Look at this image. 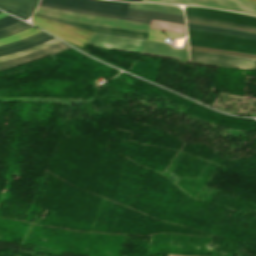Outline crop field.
Returning <instances> with one entry per match:
<instances>
[{
	"mask_svg": "<svg viewBox=\"0 0 256 256\" xmlns=\"http://www.w3.org/2000/svg\"><path fill=\"white\" fill-rule=\"evenodd\" d=\"M88 44L127 52L189 60L188 49L173 47V45L162 42L134 40L93 32Z\"/></svg>",
	"mask_w": 256,
	"mask_h": 256,
	"instance_id": "8a807250",
	"label": "crop field"
},
{
	"mask_svg": "<svg viewBox=\"0 0 256 256\" xmlns=\"http://www.w3.org/2000/svg\"><path fill=\"white\" fill-rule=\"evenodd\" d=\"M189 45L256 54V41L188 29Z\"/></svg>",
	"mask_w": 256,
	"mask_h": 256,
	"instance_id": "ac0d7876",
	"label": "crop field"
},
{
	"mask_svg": "<svg viewBox=\"0 0 256 256\" xmlns=\"http://www.w3.org/2000/svg\"><path fill=\"white\" fill-rule=\"evenodd\" d=\"M36 13H40V14H44V15H48V16H52V17H56V18L76 21V22L98 24V25H104V26H110V27H116V28H122V29L137 30V31H145V32H148L149 26H150L147 24H141V23H135V22H129V21H123V20H117V19H110V18L62 11V10L46 8V7H41V6L38 7Z\"/></svg>",
	"mask_w": 256,
	"mask_h": 256,
	"instance_id": "34b2d1b8",
	"label": "crop field"
},
{
	"mask_svg": "<svg viewBox=\"0 0 256 256\" xmlns=\"http://www.w3.org/2000/svg\"><path fill=\"white\" fill-rule=\"evenodd\" d=\"M42 3L125 16L129 3L112 0H41Z\"/></svg>",
	"mask_w": 256,
	"mask_h": 256,
	"instance_id": "412701ff",
	"label": "crop field"
},
{
	"mask_svg": "<svg viewBox=\"0 0 256 256\" xmlns=\"http://www.w3.org/2000/svg\"><path fill=\"white\" fill-rule=\"evenodd\" d=\"M191 62L256 69V59L190 49Z\"/></svg>",
	"mask_w": 256,
	"mask_h": 256,
	"instance_id": "f4fd0767",
	"label": "crop field"
},
{
	"mask_svg": "<svg viewBox=\"0 0 256 256\" xmlns=\"http://www.w3.org/2000/svg\"><path fill=\"white\" fill-rule=\"evenodd\" d=\"M31 21L33 24L49 31L50 33L56 35L57 37L68 40L81 47H84L85 44L81 43L80 41L87 43L88 41L87 39H89L90 35L92 34L91 31L66 26V25L59 24L35 15L32 16ZM73 33L80 35L82 37H85L87 39L77 36Z\"/></svg>",
	"mask_w": 256,
	"mask_h": 256,
	"instance_id": "dd49c442",
	"label": "crop field"
},
{
	"mask_svg": "<svg viewBox=\"0 0 256 256\" xmlns=\"http://www.w3.org/2000/svg\"><path fill=\"white\" fill-rule=\"evenodd\" d=\"M39 5L58 8V9H64V10H70V11H76V12H82V13H88V14H94V15H100V16H106V17H112V18H118V19H124V20H130V21H136V22H142V23H148V24H150L151 19L185 24V20L183 16L156 13V12H150V11H144V10L128 9L126 17H122V16L70 9V8L53 6V5L42 4V3H40Z\"/></svg>",
	"mask_w": 256,
	"mask_h": 256,
	"instance_id": "e52e79f7",
	"label": "crop field"
},
{
	"mask_svg": "<svg viewBox=\"0 0 256 256\" xmlns=\"http://www.w3.org/2000/svg\"><path fill=\"white\" fill-rule=\"evenodd\" d=\"M185 12L188 15L216 19L221 21L233 22L256 27V16L239 14L213 8L187 6Z\"/></svg>",
	"mask_w": 256,
	"mask_h": 256,
	"instance_id": "d8731c3e",
	"label": "crop field"
},
{
	"mask_svg": "<svg viewBox=\"0 0 256 256\" xmlns=\"http://www.w3.org/2000/svg\"><path fill=\"white\" fill-rule=\"evenodd\" d=\"M143 1H158L172 4H192V5H205L230 10L241 11L249 14L256 15V5L238 1V0H143Z\"/></svg>",
	"mask_w": 256,
	"mask_h": 256,
	"instance_id": "5a996713",
	"label": "crop field"
},
{
	"mask_svg": "<svg viewBox=\"0 0 256 256\" xmlns=\"http://www.w3.org/2000/svg\"><path fill=\"white\" fill-rule=\"evenodd\" d=\"M38 16L63 23L66 25L74 26V27H79L91 31H96V32H102V33H107V34H113V35H118V36H124V37H130V38H136V39H143L146 40L148 33L145 32H137V31H130V30H122V29H116V28H110V27H104V26H98V25H90V24H82V23H76V22H71V21H66V20H61V19H56L40 14H36Z\"/></svg>",
	"mask_w": 256,
	"mask_h": 256,
	"instance_id": "3316defc",
	"label": "crop field"
},
{
	"mask_svg": "<svg viewBox=\"0 0 256 256\" xmlns=\"http://www.w3.org/2000/svg\"><path fill=\"white\" fill-rule=\"evenodd\" d=\"M69 47L68 45H66L63 42H58L52 46H49L43 50L40 51H36L30 54H26L20 57H16L13 59H9V60H5V61H1L0 62V69H5V68H10V67H15V66H19L49 55H52L58 51H61L65 48Z\"/></svg>",
	"mask_w": 256,
	"mask_h": 256,
	"instance_id": "28ad6ade",
	"label": "crop field"
},
{
	"mask_svg": "<svg viewBox=\"0 0 256 256\" xmlns=\"http://www.w3.org/2000/svg\"><path fill=\"white\" fill-rule=\"evenodd\" d=\"M37 3V0H0V8L24 18L32 14Z\"/></svg>",
	"mask_w": 256,
	"mask_h": 256,
	"instance_id": "d1516ede",
	"label": "crop field"
},
{
	"mask_svg": "<svg viewBox=\"0 0 256 256\" xmlns=\"http://www.w3.org/2000/svg\"><path fill=\"white\" fill-rule=\"evenodd\" d=\"M187 26H188V28H191V29L234 35V36L245 37V38H250V39L256 40V34H251V33H246V32L226 29V28H220V27H214V26H210V25H202V24L187 23Z\"/></svg>",
	"mask_w": 256,
	"mask_h": 256,
	"instance_id": "22f410ed",
	"label": "crop field"
},
{
	"mask_svg": "<svg viewBox=\"0 0 256 256\" xmlns=\"http://www.w3.org/2000/svg\"><path fill=\"white\" fill-rule=\"evenodd\" d=\"M128 8L154 10L183 15V10L181 7L159 3H130Z\"/></svg>",
	"mask_w": 256,
	"mask_h": 256,
	"instance_id": "cbeb9de0",
	"label": "crop field"
},
{
	"mask_svg": "<svg viewBox=\"0 0 256 256\" xmlns=\"http://www.w3.org/2000/svg\"><path fill=\"white\" fill-rule=\"evenodd\" d=\"M150 28L186 33L185 25L155 21V20L151 21Z\"/></svg>",
	"mask_w": 256,
	"mask_h": 256,
	"instance_id": "5142ce71",
	"label": "crop field"
},
{
	"mask_svg": "<svg viewBox=\"0 0 256 256\" xmlns=\"http://www.w3.org/2000/svg\"><path fill=\"white\" fill-rule=\"evenodd\" d=\"M184 36L185 35H183V34H177V33H171V32L150 29L148 39L166 42L167 39L184 37Z\"/></svg>",
	"mask_w": 256,
	"mask_h": 256,
	"instance_id": "d9b57169",
	"label": "crop field"
},
{
	"mask_svg": "<svg viewBox=\"0 0 256 256\" xmlns=\"http://www.w3.org/2000/svg\"><path fill=\"white\" fill-rule=\"evenodd\" d=\"M31 27L30 25H27L26 23L20 21L14 25H11L7 28L1 29L0 30V38L8 36V35H12L18 32H21L27 28Z\"/></svg>",
	"mask_w": 256,
	"mask_h": 256,
	"instance_id": "733c2abd",
	"label": "crop field"
},
{
	"mask_svg": "<svg viewBox=\"0 0 256 256\" xmlns=\"http://www.w3.org/2000/svg\"><path fill=\"white\" fill-rule=\"evenodd\" d=\"M39 31L40 30H38V29L33 27V28H31V29H29L27 31L18 33L16 35H13V36H10V37H6V38L0 39V44H4V43H8V42H11V41H15V40L24 38L26 36L32 35V34L37 33Z\"/></svg>",
	"mask_w": 256,
	"mask_h": 256,
	"instance_id": "4a817a6b",
	"label": "crop field"
},
{
	"mask_svg": "<svg viewBox=\"0 0 256 256\" xmlns=\"http://www.w3.org/2000/svg\"><path fill=\"white\" fill-rule=\"evenodd\" d=\"M57 41H59V40H57V39L54 38V39L51 40V41L45 42V43H43V44H41V45H38V46H36V47H34V48H31V49H29V50L20 51V52H17V53L8 55V56L0 57V60H4V59L16 57V56H20V55H23V54H26V53H30V52H33V51L42 49V48H44V47H47V46H49V45H51V44H53V43H55V42H57Z\"/></svg>",
	"mask_w": 256,
	"mask_h": 256,
	"instance_id": "bc2a9ffb",
	"label": "crop field"
},
{
	"mask_svg": "<svg viewBox=\"0 0 256 256\" xmlns=\"http://www.w3.org/2000/svg\"><path fill=\"white\" fill-rule=\"evenodd\" d=\"M53 37L51 36H48L40 41H37V42H34V43H31V44H28V45H25V46H22V47H19V48H15V49H11V50H8V51H4V52H0V56H3V55H7V54H11V53H14V52H17V51H20V50H24V49H29L33 46H36L38 44H41L45 41H48L50 39H52Z\"/></svg>",
	"mask_w": 256,
	"mask_h": 256,
	"instance_id": "214f88e0",
	"label": "crop field"
},
{
	"mask_svg": "<svg viewBox=\"0 0 256 256\" xmlns=\"http://www.w3.org/2000/svg\"><path fill=\"white\" fill-rule=\"evenodd\" d=\"M185 17H186V19H190V20L205 21V22H211V23H217V24H223V25H230V26H236V27H242V28H248V29H254V30H256V28H252V27H248V26H244V25H239V24H233V23L215 21V20L204 19V18L193 17V16H187V15H185Z\"/></svg>",
	"mask_w": 256,
	"mask_h": 256,
	"instance_id": "92a150f3",
	"label": "crop field"
},
{
	"mask_svg": "<svg viewBox=\"0 0 256 256\" xmlns=\"http://www.w3.org/2000/svg\"><path fill=\"white\" fill-rule=\"evenodd\" d=\"M48 36L47 34L43 33L37 37H34V38H31V39H28L22 43H19V44H15V45H11V46H8V47H5V48H1L0 51H4V50H8V49H11V48H15V47H19V46H22V45H25V44H28V43H31V42H34V41H37L39 39H42L44 37Z\"/></svg>",
	"mask_w": 256,
	"mask_h": 256,
	"instance_id": "dafd665d",
	"label": "crop field"
},
{
	"mask_svg": "<svg viewBox=\"0 0 256 256\" xmlns=\"http://www.w3.org/2000/svg\"><path fill=\"white\" fill-rule=\"evenodd\" d=\"M20 20L16 19V18H13L11 16H8V17H5V18H2L0 19V28H4V27H7L13 23H16Z\"/></svg>",
	"mask_w": 256,
	"mask_h": 256,
	"instance_id": "00972430",
	"label": "crop field"
},
{
	"mask_svg": "<svg viewBox=\"0 0 256 256\" xmlns=\"http://www.w3.org/2000/svg\"><path fill=\"white\" fill-rule=\"evenodd\" d=\"M40 33H42V31L39 32V33H37V34H35V35H38V34H40ZM35 35L29 36V37H26V38H24V39H21V40L15 41V42H11V43H8V44H5V45H1L0 48H1V47H4V46L11 45V44H14V43L22 42V41H24V40H26V39H28V38H31V37H33V36H35Z\"/></svg>",
	"mask_w": 256,
	"mask_h": 256,
	"instance_id": "a9b5d70f",
	"label": "crop field"
},
{
	"mask_svg": "<svg viewBox=\"0 0 256 256\" xmlns=\"http://www.w3.org/2000/svg\"><path fill=\"white\" fill-rule=\"evenodd\" d=\"M5 16H7V14H5V13H3V12L0 13V18H1V17H5Z\"/></svg>",
	"mask_w": 256,
	"mask_h": 256,
	"instance_id": "4177f3b9",
	"label": "crop field"
},
{
	"mask_svg": "<svg viewBox=\"0 0 256 256\" xmlns=\"http://www.w3.org/2000/svg\"><path fill=\"white\" fill-rule=\"evenodd\" d=\"M123 1H142V0H123Z\"/></svg>",
	"mask_w": 256,
	"mask_h": 256,
	"instance_id": "730fd06b",
	"label": "crop field"
},
{
	"mask_svg": "<svg viewBox=\"0 0 256 256\" xmlns=\"http://www.w3.org/2000/svg\"><path fill=\"white\" fill-rule=\"evenodd\" d=\"M1 12V11H0Z\"/></svg>",
	"mask_w": 256,
	"mask_h": 256,
	"instance_id": "eef30255",
	"label": "crop field"
}]
</instances>
